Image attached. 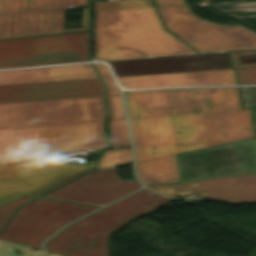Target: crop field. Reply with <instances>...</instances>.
<instances>
[{"label":"crop field","instance_id":"1","mask_svg":"<svg viewBox=\"0 0 256 256\" xmlns=\"http://www.w3.org/2000/svg\"><path fill=\"white\" fill-rule=\"evenodd\" d=\"M137 176L180 181L176 154L255 137L237 87L125 91Z\"/></svg>","mask_w":256,"mask_h":256},{"label":"crop field","instance_id":"2","mask_svg":"<svg viewBox=\"0 0 256 256\" xmlns=\"http://www.w3.org/2000/svg\"><path fill=\"white\" fill-rule=\"evenodd\" d=\"M104 96L0 104V164L109 147Z\"/></svg>","mask_w":256,"mask_h":256},{"label":"crop field","instance_id":"3","mask_svg":"<svg viewBox=\"0 0 256 256\" xmlns=\"http://www.w3.org/2000/svg\"><path fill=\"white\" fill-rule=\"evenodd\" d=\"M95 60L192 53L162 28L153 6L94 10Z\"/></svg>","mask_w":256,"mask_h":256},{"label":"crop field","instance_id":"4","mask_svg":"<svg viewBox=\"0 0 256 256\" xmlns=\"http://www.w3.org/2000/svg\"><path fill=\"white\" fill-rule=\"evenodd\" d=\"M153 194L155 193L144 188L64 228L65 230L45 243L48 251L69 256H98L90 252L108 239V234L120 229L122 224L171 201L164 196L152 200L150 196Z\"/></svg>","mask_w":256,"mask_h":256},{"label":"crop field","instance_id":"5","mask_svg":"<svg viewBox=\"0 0 256 256\" xmlns=\"http://www.w3.org/2000/svg\"><path fill=\"white\" fill-rule=\"evenodd\" d=\"M89 0H0V39L88 30ZM85 7L83 28L63 30V8Z\"/></svg>","mask_w":256,"mask_h":256},{"label":"crop field","instance_id":"6","mask_svg":"<svg viewBox=\"0 0 256 256\" xmlns=\"http://www.w3.org/2000/svg\"><path fill=\"white\" fill-rule=\"evenodd\" d=\"M89 32L0 41V68L88 60Z\"/></svg>","mask_w":256,"mask_h":256},{"label":"crop field","instance_id":"7","mask_svg":"<svg viewBox=\"0 0 256 256\" xmlns=\"http://www.w3.org/2000/svg\"><path fill=\"white\" fill-rule=\"evenodd\" d=\"M95 162L71 165L53 157L0 165V204L20 195L38 196L84 172Z\"/></svg>","mask_w":256,"mask_h":256},{"label":"crop field","instance_id":"8","mask_svg":"<svg viewBox=\"0 0 256 256\" xmlns=\"http://www.w3.org/2000/svg\"><path fill=\"white\" fill-rule=\"evenodd\" d=\"M97 207L37 199L19 209L0 239L42 249L40 243L64 224Z\"/></svg>","mask_w":256,"mask_h":256},{"label":"crop field","instance_id":"9","mask_svg":"<svg viewBox=\"0 0 256 256\" xmlns=\"http://www.w3.org/2000/svg\"><path fill=\"white\" fill-rule=\"evenodd\" d=\"M181 181L256 172L255 138L177 155Z\"/></svg>","mask_w":256,"mask_h":256},{"label":"crop field","instance_id":"10","mask_svg":"<svg viewBox=\"0 0 256 256\" xmlns=\"http://www.w3.org/2000/svg\"><path fill=\"white\" fill-rule=\"evenodd\" d=\"M156 7L167 29L201 53L256 48V40L227 42L224 27L205 28L187 4Z\"/></svg>","mask_w":256,"mask_h":256},{"label":"crop field","instance_id":"11","mask_svg":"<svg viewBox=\"0 0 256 256\" xmlns=\"http://www.w3.org/2000/svg\"><path fill=\"white\" fill-rule=\"evenodd\" d=\"M140 186V183L118 180L113 167L86 174L44 196L105 205Z\"/></svg>","mask_w":256,"mask_h":256},{"label":"crop field","instance_id":"12","mask_svg":"<svg viewBox=\"0 0 256 256\" xmlns=\"http://www.w3.org/2000/svg\"><path fill=\"white\" fill-rule=\"evenodd\" d=\"M116 76L230 68L227 53L109 62Z\"/></svg>","mask_w":256,"mask_h":256},{"label":"crop field","instance_id":"13","mask_svg":"<svg viewBox=\"0 0 256 256\" xmlns=\"http://www.w3.org/2000/svg\"><path fill=\"white\" fill-rule=\"evenodd\" d=\"M104 95L99 79L0 85V103Z\"/></svg>","mask_w":256,"mask_h":256},{"label":"crop field","instance_id":"14","mask_svg":"<svg viewBox=\"0 0 256 256\" xmlns=\"http://www.w3.org/2000/svg\"><path fill=\"white\" fill-rule=\"evenodd\" d=\"M124 88H149L191 85H236L234 72L230 69L117 77Z\"/></svg>","mask_w":256,"mask_h":256},{"label":"crop field","instance_id":"15","mask_svg":"<svg viewBox=\"0 0 256 256\" xmlns=\"http://www.w3.org/2000/svg\"><path fill=\"white\" fill-rule=\"evenodd\" d=\"M197 183L198 192L217 202H256V174L182 183Z\"/></svg>","mask_w":256,"mask_h":256},{"label":"crop field","instance_id":"16","mask_svg":"<svg viewBox=\"0 0 256 256\" xmlns=\"http://www.w3.org/2000/svg\"><path fill=\"white\" fill-rule=\"evenodd\" d=\"M98 78L91 64L0 71V84Z\"/></svg>","mask_w":256,"mask_h":256},{"label":"crop field","instance_id":"17","mask_svg":"<svg viewBox=\"0 0 256 256\" xmlns=\"http://www.w3.org/2000/svg\"><path fill=\"white\" fill-rule=\"evenodd\" d=\"M110 107V135L113 147L127 146L130 144L127 126L124 118L122 97L119 95H108Z\"/></svg>","mask_w":256,"mask_h":256},{"label":"crop field","instance_id":"18","mask_svg":"<svg viewBox=\"0 0 256 256\" xmlns=\"http://www.w3.org/2000/svg\"><path fill=\"white\" fill-rule=\"evenodd\" d=\"M132 163L131 148L105 151L99 164V170Z\"/></svg>","mask_w":256,"mask_h":256},{"label":"crop field","instance_id":"19","mask_svg":"<svg viewBox=\"0 0 256 256\" xmlns=\"http://www.w3.org/2000/svg\"><path fill=\"white\" fill-rule=\"evenodd\" d=\"M13 249L19 251V255L15 254ZM0 256H46L42 250H31L29 247L21 246L18 244L10 243L0 240Z\"/></svg>","mask_w":256,"mask_h":256},{"label":"crop field","instance_id":"20","mask_svg":"<svg viewBox=\"0 0 256 256\" xmlns=\"http://www.w3.org/2000/svg\"><path fill=\"white\" fill-rule=\"evenodd\" d=\"M232 68L256 66V50L229 52Z\"/></svg>","mask_w":256,"mask_h":256},{"label":"crop field","instance_id":"21","mask_svg":"<svg viewBox=\"0 0 256 256\" xmlns=\"http://www.w3.org/2000/svg\"><path fill=\"white\" fill-rule=\"evenodd\" d=\"M199 20L205 27L222 26L206 20H202V19H199ZM225 28L227 32L228 41L256 39L255 34L239 26H234V27L225 26Z\"/></svg>","mask_w":256,"mask_h":256},{"label":"crop field","instance_id":"22","mask_svg":"<svg viewBox=\"0 0 256 256\" xmlns=\"http://www.w3.org/2000/svg\"><path fill=\"white\" fill-rule=\"evenodd\" d=\"M146 5H152L151 1L150 0L106 1V2H94V9L146 6Z\"/></svg>","mask_w":256,"mask_h":256},{"label":"crop field","instance_id":"23","mask_svg":"<svg viewBox=\"0 0 256 256\" xmlns=\"http://www.w3.org/2000/svg\"><path fill=\"white\" fill-rule=\"evenodd\" d=\"M33 199L32 197H26V196H21L17 198L16 200L0 207V228L3 226V224L7 221V219L12 215V213L16 210V208Z\"/></svg>","mask_w":256,"mask_h":256},{"label":"crop field","instance_id":"24","mask_svg":"<svg viewBox=\"0 0 256 256\" xmlns=\"http://www.w3.org/2000/svg\"><path fill=\"white\" fill-rule=\"evenodd\" d=\"M239 84L256 83V67L236 69Z\"/></svg>","mask_w":256,"mask_h":256},{"label":"crop field","instance_id":"25","mask_svg":"<svg viewBox=\"0 0 256 256\" xmlns=\"http://www.w3.org/2000/svg\"><path fill=\"white\" fill-rule=\"evenodd\" d=\"M244 107H256V86L240 87Z\"/></svg>","mask_w":256,"mask_h":256},{"label":"crop field","instance_id":"26","mask_svg":"<svg viewBox=\"0 0 256 256\" xmlns=\"http://www.w3.org/2000/svg\"><path fill=\"white\" fill-rule=\"evenodd\" d=\"M181 186V184L175 185H151L149 188L169 197H177V190H174L170 187Z\"/></svg>","mask_w":256,"mask_h":256},{"label":"crop field","instance_id":"27","mask_svg":"<svg viewBox=\"0 0 256 256\" xmlns=\"http://www.w3.org/2000/svg\"><path fill=\"white\" fill-rule=\"evenodd\" d=\"M181 187L186 189H178V197H188V194H199L197 192L196 184ZM174 189H177V187H174Z\"/></svg>","mask_w":256,"mask_h":256},{"label":"crop field","instance_id":"28","mask_svg":"<svg viewBox=\"0 0 256 256\" xmlns=\"http://www.w3.org/2000/svg\"><path fill=\"white\" fill-rule=\"evenodd\" d=\"M106 87H107V94H119L120 91L114 84L112 78H102Z\"/></svg>","mask_w":256,"mask_h":256},{"label":"crop field","instance_id":"29","mask_svg":"<svg viewBox=\"0 0 256 256\" xmlns=\"http://www.w3.org/2000/svg\"><path fill=\"white\" fill-rule=\"evenodd\" d=\"M93 65H94L95 69L98 71V73L101 75V77H111L105 64L94 63Z\"/></svg>","mask_w":256,"mask_h":256},{"label":"crop field","instance_id":"30","mask_svg":"<svg viewBox=\"0 0 256 256\" xmlns=\"http://www.w3.org/2000/svg\"><path fill=\"white\" fill-rule=\"evenodd\" d=\"M95 251L91 252L94 254L102 255V256H108V240H106L101 245L97 246Z\"/></svg>","mask_w":256,"mask_h":256},{"label":"crop field","instance_id":"31","mask_svg":"<svg viewBox=\"0 0 256 256\" xmlns=\"http://www.w3.org/2000/svg\"><path fill=\"white\" fill-rule=\"evenodd\" d=\"M156 5H168V4H178L184 3L183 0H154Z\"/></svg>","mask_w":256,"mask_h":256},{"label":"crop field","instance_id":"32","mask_svg":"<svg viewBox=\"0 0 256 256\" xmlns=\"http://www.w3.org/2000/svg\"><path fill=\"white\" fill-rule=\"evenodd\" d=\"M49 253V252H48ZM50 256H62V255H57V254H53V253H49Z\"/></svg>","mask_w":256,"mask_h":256},{"label":"crop field","instance_id":"33","mask_svg":"<svg viewBox=\"0 0 256 256\" xmlns=\"http://www.w3.org/2000/svg\"><path fill=\"white\" fill-rule=\"evenodd\" d=\"M254 110V116H255V122H256V108H253Z\"/></svg>","mask_w":256,"mask_h":256}]
</instances>
